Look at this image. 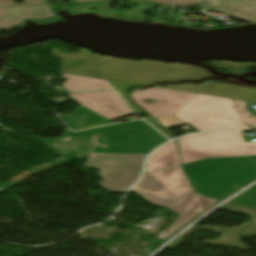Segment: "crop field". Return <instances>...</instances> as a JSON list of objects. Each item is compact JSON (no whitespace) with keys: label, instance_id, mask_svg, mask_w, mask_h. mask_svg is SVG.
Returning <instances> with one entry per match:
<instances>
[{"label":"crop field","instance_id":"crop-field-17","mask_svg":"<svg viewBox=\"0 0 256 256\" xmlns=\"http://www.w3.org/2000/svg\"><path fill=\"white\" fill-rule=\"evenodd\" d=\"M223 210L233 211L244 214L252 218L251 222L247 225L232 228L237 236L240 238L256 234V210L244 206L229 204Z\"/></svg>","mask_w":256,"mask_h":256},{"label":"crop field","instance_id":"crop-field-20","mask_svg":"<svg viewBox=\"0 0 256 256\" xmlns=\"http://www.w3.org/2000/svg\"><path fill=\"white\" fill-rule=\"evenodd\" d=\"M232 202L256 208V186Z\"/></svg>","mask_w":256,"mask_h":256},{"label":"crop field","instance_id":"crop-field-18","mask_svg":"<svg viewBox=\"0 0 256 256\" xmlns=\"http://www.w3.org/2000/svg\"><path fill=\"white\" fill-rule=\"evenodd\" d=\"M213 65L225 72L238 73L256 78V64H239L234 62H213Z\"/></svg>","mask_w":256,"mask_h":256},{"label":"crop field","instance_id":"crop-field-6","mask_svg":"<svg viewBox=\"0 0 256 256\" xmlns=\"http://www.w3.org/2000/svg\"><path fill=\"white\" fill-rule=\"evenodd\" d=\"M182 162L212 157L256 156V142L244 143L240 133H205L178 140Z\"/></svg>","mask_w":256,"mask_h":256},{"label":"crop field","instance_id":"crop-field-5","mask_svg":"<svg viewBox=\"0 0 256 256\" xmlns=\"http://www.w3.org/2000/svg\"><path fill=\"white\" fill-rule=\"evenodd\" d=\"M198 131L250 129L236 111L232 99L198 94L175 114Z\"/></svg>","mask_w":256,"mask_h":256},{"label":"crop field","instance_id":"crop-field-22","mask_svg":"<svg viewBox=\"0 0 256 256\" xmlns=\"http://www.w3.org/2000/svg\"><path fill=\"white\" fill-rule=\"evenodd\" d=\"M76 2L79 1H93V0H75ZM163 4L167 5H195L199 4L198 0H154Z\"/></svg>","mask_w":256,"mask_h":256},{"label":"crop field","instance_id":"crop-field-11","mask_svg":"<svg viewBox=\"0 0 256 256\" xmlns=\"http://www.w3.org/2000/svg\"><path fill=\"white\" fill-rule=\"evenodd\" d=\"M24 2L25 4L44 3L42 0H24ZM15 5L23 4H14L11 0H0V7ZM51 17L53 14L47 5L0 9V29L20 25L26 18L42 20Z\"/></svg>","mask_w":256,"mask_h":256},{"label":"crop field","instance_id":"crop-field-9","mask_svg":"<svg viewBox=\"0 0 256 256\" xmlns=\"http://www.w3.org/2000/svg\"><path fill=\"white\" fill-rule=\"evenodd\" d=\"M68 94L70 100L110 120L133 114L115 91L76 92Z\"/></svg>","mask_w":256,"mask_h":256},{"label":"crop field","instance_id":"crop-field-2","mask_svg":"<svg viewBox=\"0 0 256 256\" xmlns=\"http://www.w3.org/2000/svg\"><path fill=\"white\" fill-rule=\"evenodd\" d=\"M94 135L102 136L104 144L97 146L94 143ZM66 137L70 139L63 140ZM166 141L168 140L144 121L115 124L77 133L66 130L60 140H43L57 153H79L80 159L88 156L92 146H95L92 152L148 154ZM53 144L57 147H53ZM102 147H107V150Z\"/></svg>","mask_w":256,"mask_h":256},{"label":"crop field","instance_id":"crop-field-12","mask_svg":"<svg viewBox=\"0 0 256 256\" xmlns=\"http://www.w3.org/2000/svg\"><path fill=\"white\" fill-rule=\"evenodd\" d=\"M208 9L219 11L232 18L256 23V0H201Z\"/></svg>","mask_w":256,"mask_h":256},{"label":"crop field","instance_id":"crop-field-1","mask_svg":"<svg viewBox=\"0 0 256 256\" xmlns=\"http://www.w3.org/2000/svg\"><path fill=\"white\" fill-rule=\"evenodd\" d=\"M51 52L53 57L60 59V72L104 80L148 85L154 81L195 79L209 75L199 67L108 58L91 55L82 49L80 54H63L57 49H52Z\"/></svg>","mask_w":256,"mask_h":256},{"label":"crop field","instance_id":"crop-field-21","mask_svg":"<svg viewBox=\"0 0 256 256\" xmlns=\"http://www.w3.org/2000/svg\"><path fill=\"white\" fill-rule=\"evenodd\" d=\"M111 82L115 86V88L118 90V92L122 95V97L126 100V102L129 104V106L136 113L143 112L138 106H136L133 102H131V99L127 97L126 94L122 91L127 86H137V85H131V84H125V83H119V82H113V81Z\"/></svg>","mask_w":256,"mask_h":256},{"label":"crop field","instance_id":"crop-field-4","mask_svg":"<svg viewBox=\"0 0 256 256\" xmlns=\"http://www.w3.org/2000/svg\"><path fill=\"white\" fill-rule=\"evenodd\" d=\"M183 167L197 192L217 199L256 178V166L251 157L206 159Z\"/></svg>","mask_w":256,"mask_h":256},{"label":"crop field","instance_id":"crop-field-16","mask_svg":"<svg viewBox=\"0 0 256 256\" xmlns=\"http://www.w3.org/2000/svg\"><path fill=\"white\" fill-rule=\"evenodd\" d=\"M65 79L63 85L68 91L113 90L107 81L62 74Z\"/></svg>","mask_w":256,"mask_h":256},{"label":"crop field","instance_id":"crop-field-25","mask_svg":"<svg viewBox=\"0 0 256 256\" xmlns=\"http://www.w3.org/2000/svg\"><path fill=\"white\" fill-rule=\"evenodd\" d=\"M146 121H148L151 125H153L155 128H157L159 131H161L164 135H166L167 137H169L168 134H166L158 125H156L154 122H152L150 119H146Z\"/></svg>","mask_w":256,"mask_h":256},{"label":"crop field","instance_id":"crop-field-3","mask_svg":"<svg viewBox=\"0 0 256 256\" xmlns=\"http://www.w3.org/2000/svg\"><path fill=\"white\" fill-rule=\"evenodd\" d=\"M133 190L148 201L180 214L171 227L159 234V239L168 238L217 202L194 193L180 166L144 175Z\"/></svg>","mask_w":256,"mask_h":256},{"label":"crop field","instance_id":"crop-field-26","mask_svg":"<svg viewBox=\"0 0 256 256\" xmlns=\"http://www.w3.org/2000/svg\"><path fill=\"white\" fill-rule=\"evenodd\" d=\"M252 159H253V161L255 162V164H256V157H252Z\"/></svg>","mask_w":256,"mask_h":256},{"label":"crop field","instance_id":"crop-field-7","mask_svg":"<svg viewBox=\"0 0 256 256\" xmlns=\"http://www.w3.org/2000/svg\"><path fill=\"white\" fill-rule=\"evenodd\" d=\"M146 155L90 153L84 167H97L100 176L106 178L100 183L113 192H125L140 176Z\"/></svg>","mask_w":256,"mask_h":256},{"label":"crop field","instance_id":"crop-field-8","mask_svg":"<svg viewBox=\"0 0 256 256\" xmlns=\"http://www.w3.org/2000/svg\"><path fill=\"white\" fill-rule=\"evenodd\" d=\"M196 95L188 92L152 88L143 91L134 90L130 97L154 118H158L174 115ZM146 98L157 100V102L148 105L143 101Z\"/></svg>","mask_w":256,"mask_h":256},{"label":"crop field","instance_id":"crop-field-10","mask_svg":"<svg viewBox=\"0 0 256 256\" xmlns=\"http://www.w3.org/2000/svg\"><path fill=\"white\" fill-rule=\"evenodd\" d=\"M163 88L256 102V86H248L233 80L207 82L201 85L181 84Z\"/></svg>","mask_w":256,"mask_h":256},{"label":"crop field","instance_id":"crop-field-13","mask_svg":"<svg viewBox=\"0 0 256 256\" xmlns=\"http://www.w3.org/2000/svg\"><path fill=\"white\" fill-rule=\"evenodd\" d=\"M110 1L111 0L81 4L82 7H80V8H72V13L95 12L97 14L104 15V16H113L116 18H122V19H126V20L136 21L139 19L143 10L152 8L155 4L153 2L142 1V0H133V1L132 0H121L124 2L136 4L138 6L133 10H129L124 13L117 14V13H114V12L108 10V5H109ZM104 7H107V9L105 10ZM90 8L98 9V11H89Z\"/></svg>","mask_w":256,"mask_h":256},{"label":"crop field","instance_id":"crop-field-23","mask_svg":"<svg viewBox=\"0 0 256 256\" xmlns=\"http://www.w3.org/2000/svg\"><path fill=\"white\" fill-rule=\"evenodd\" d=\"M176 9L177 8L173 7L172 10L169 12V14H168V16L166 18L167 21H170V20H182L183 19L184 16L173 14Z\"/></svg>","mask_w":256,"mask_h":256},{"label":"crop field","instance_id":"crop-field-19","mask_svg":"<svg viewBox=\"0 0 256 256\" xmlns=\"http://www.w3.org/2000/svg\"><path fill=\"white\" fill-rule=\"evenodd\" d=\"M233 101H234L236 107L238 108L237 110H238L243 122L252 126L254 129H256V117L251 116L252 114L247 109L245 101L235 100V99H233Z\"/></svg>","mask_w":256,"mask_h":256},{"label":"crop field","instance_id":"crop-field-14","mask_svg":"<svg viewBox=\"0 0 256 256\" xmlns=\"http://www.w3.org/2000/svg\"><path fill=\"white\" fill-rule=\"evenodd\" d=\"M178 165L180 163L174 141L161 147L149 157L146 172L150 173Z\"/></svg>","mask_w":256,"mask_h":256},{"label":"crop field","instance_id":"crop-field-15","mask_svg":"<svg viewBox=\"0 0 256 256\" xmlns=\"http://www.w3.org/2000/svg\"><path fill=\"white\" fill-rule=\"evenodd\" d=\"M72 130L110 124V120L80 106L63 120Z\"/></svg>","mask_w":256,"mask_h":256},{"label":"crop field","instance_id":"crop-field-24","mask_svg":"<svg viewBox=\"0 0 256 256\" xmlns=\"http://www.w3.org/2000/svg\"><path fill=\"white\" fill-rule=\"evenodd\" d=\"M195 231V229L189 231L187 234H185L184 236H182L178 241H176L171 247L174 248L175 246H177L179 243H181L187 236H189L191 233H193Z\"/></svg>","mask_w":256,"mask_h":256}]
</instances>
